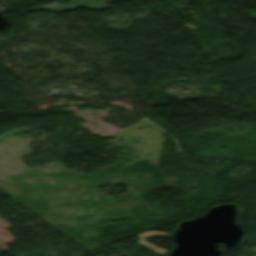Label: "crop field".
Listing matches in <instances>:
<instances>
[{"label":"crop field","instance_id":"8a807250","mask_svg":"<svg viewBox=\"0 0 256 256\" xmlns=\"http://www.w3.org/2000/svg\"><path fill=\"white\" fill-rule=\"evenodd\" d=\"M78 7L95 8L97 10L111 8L105 4L100 3L97 0H88V1L71 4V5H67V6H63V7H58V8H54V9H50V10L55 11V12H62V11H66V10H74Z\"/></svg>","mask_w":256,"mask_h":256},{"label":"crop field","instance_id":"ac0d7876","mask_svg":"<svg viewBox=\"0 0 256 256\" xmlns=\"http://www.w3.org/2000/svg\"><path fill=\"white\" fill-rule=\"evenodd\" d=\"M71 3H73V2H71ZM67 4H70V3H67ZM61 5H66V4L53 3V4L41 6L39 8L28 9L27 12L32 11V10H36V9H48V8L57 7V6H61Z\"/></svg>","mask_w":256,"mask_h":256},{"label":"crop field","instance_id":"34b2d1b8","mask_svg":"<svg viewBox=\"0 0 256 256\" xmlns=\"http://www.w3.org/2000/svg\"><path fill=\"white\" fill-rule=\"evenodd\" d=\"M77 1H81V0H73V2H77ZM104 3H108V2H114V1H120V0H101Z\"/></svg>","mask_w":256,"mask_h":256}]
</instances>
